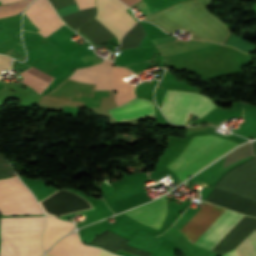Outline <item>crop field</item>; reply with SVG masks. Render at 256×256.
<instances>
[{
    "label": "crop field",
    "mask_w": 256,
    "mask_h": 256,
    "mask_svg": "<svg viewBox=\"0 0 256 256\" xmlns=\"http://www.w3.org/2000/svg\"><path fill=\"white\" fill-rule=\"evenodd\" d=\"M68 37L69 36L59 28L46 38H48L50 41H52L55 44H59Z\"/></svg>",
    "instance_id": "crop-field-14"
},
{
    "label": "crop field",
    "mask_w": 256,
    "mask_h": 256,
    "mask_svg": "<svg viewBox=\"0 0 256 256\" xmlns=\"http://www.w3.org/2000/svg\"><path fill=\"white\" fill-rule=\"evenodd\" d=\"M236 250L239 256H256V231L254 230Z\"/></svg>",
    "instance_id": "crop-field-13"
},
{
    "label": "crop field",
    "mask_w": 256,
    "mask_h": 256,
    "mask_svg": "<svg viewBox=\"0 0 256 256\" xmlns=\"http://www.w3.org/2000/svg\"><path fill=\"white\" fill-rule=\"evenodd\" d=\"M16 1H20V0H0V2H1L2 4L12 3V2H16Z\"/></svg>",
    "instance_id": "crop-field-20"
},
{
    "label": "crop field",
    "mask_w": 256,
    "mask_h": 256,
    "mask_svg": "<svg viewBox=\"0 0 256 256\" xmlns=\"http://www.w3.org/2000/svg\"><path fill=\"white\" fill-rule=\"evenodd\" d=\"M222 210L221 207L205 203L181 231L193 243ZM242 216L224 209L194 244L211 251Z\"/></svg>",
    "instance_id": "crop-field-2"
},
{
    "label": "crop field",
    "mask_w": 256,
    "mask_h": 256,
    "mask_svg": "<svg viewBox=\"0 0 256 256\" xmlns=\"http://www.w3.org/2000/svg\"><path fill=\"white\" fill-rule=\"evenodd\" d=\"M45 256H48V255H45ZM98 256H114V255H111V254L101 250Z\"/></svg>",
    "instance_id": "crop-field-19"
},
{
    "label": "crop field",
    "mask_w": 256,
    "mask_h": 256,
    "mask_svg": "<svg viewBox=\"0 0 256 256\" xmlns=\"http://www.w3.org/2000/svg\"><path fill=\"white\" fill-rule=\"evenodd\" d=\"M76 3L80 10L95 6L94 0H76Z\"/></svg>",
    "instance_id": "crop-field-16"
},
{
    "label": "crop field",
    "mask_w": 256,
    "mask_h": 256,
    "mask_svg": "<svg viewBox=\"0 0 256 256\" xmlns=\"http://www.w3.org/2000/svg\"><path fill=\"white\" fill-rule=\"evenodd\" d=\"M236 145L213 135L196 136L167 168L174 171L182 182Z\"/></svg>",
    "instance_id": "crop-field-3"
},
{
    "label": "crop field",
    "mask_w": 256,
    "mask_h": 256,
    "mask_svg": "<svg viewBox=\"0 0 256 256\" xmlns=\"http://www.w3.org/2000/svg\"><path fill=\"white\" fill-rule=\"evenodd\" d=\"M6 181L20 197L29 214L42 213L35 197L17 176L7 178ZM6 181L0 179V212L2 215L28 214L21 200L11 190Z\"/></svg>",
    "instance_id": "crop-field-5"
},
{
    "label": "crop field",
    "mask_w": 256,
    "mask_h": 256,
    "mask_svg": "<svg viewBox=\"0 0 256 256\" xmlns=\"http://www.w3.org/2000/svg\"><path fill=\"white\" fill-rule=\"evenodd\" d=\"M222 256H238V255H237L236 250L234 249V250H232V251H230V252H228V253H226Z\"/></svg>",
    "instance_id": "crop-field-18"
},
{
    "label": "crop field",
    "mask_w": 256,
    "mask_h": 256,
    "mask_svg": "<svg viewBox=\"0 0 256 256\" xmlns=\"http://www.w3.org/2000/svg\"><path fill=\"white\" fill-rule=\"evenodd\" d=\"M21 74L24 77V80L21 82L32 87L39 94H41L53 80V77L41 72L34 67L26 70Z\"/></svg>",
    "instance_id": "crop-field-12"
},
{
    "label": "crop field",
    "mask_w": 256,
    "mask_h": 256,
    "mask_svg": "<svg viewBox=\"0 0 256 256\" xmlns=\"http://www.w3.org/2000/svg\"><path fill=\"white\" fill-rule=\"evenodd\" d=\"M99 251V249L81 244L77 233L73 232L54 245L47 254L54 256H97Z\"/></svg>",
    "instance_id": "crop-field-9"
},
{
    "label": "crop field",
    "mask_w": 256,
    "mask_h": 256,
    "mask_svg": "<svg viewBox=\"0 0 256 256\" xmlns=\"http://www.w3.org/2000/svg\"><path fill=\"white\" fill-rule=\"evenodd\" d=\"M120 1H122L125 5H127L129 7L139 0H120Z\"/></svg>",
    "instance_id": "crop-field-17"
},
{
    "label": "crop field",
    "mask_w": 256,
    "mask_h": 256,
    "mask_svg": "<svg viewBox=\"0 0 256 256\" xmlns=\"http://www.w3.org/2000/svg\"><path fill=\"white\" fill-rule=\"evenodd\" d=\"M197 96L198 93L194 92L167 90L161 110L169 121L179 125H185L187 116ZM216 107L218 106L208 97L199 94L191 113L202 117Z\"/></svg>",
    "instance_id": "crop-field-4"
},
{
    "label": "crop field",
    "mask_w": 256,
    "mask_h": 256,
    "mask_svg": "<svg viewBox=\"0 0 256 256\" xmlns=\"http://www.w3.org/2000/svg\"><path fill=\"white\" fill-rule=\"evenodd\" d=\"M109 113L117 121H122L153 115L154 110L152 102L142 98H135L113 110H109Z\"/></svg>",
    "instance_id": "crop-field-10"
},
{
    "label": "crop field",
    "mask_w": 256,
    "mask_h": 256,
    "mask_svg": "<svg viewBox=\"0 0 256 256\" xmlns=\"http://www.w3.org/2000/svg\"><path fill=\"white\" fill-rule=\"evenodd\" d=\"M44 216L1 218L0 256H40Z\"/></svg>",
    "instance_id": "crop-field-1"
},
{
    "label": "crop field",
    "mask_w": 256,
    "mask_h": 256,
    "mask_svg": "<svg viewBox=\"0 0 256 256\" xmlns=\"http://www.w3.org/2000/svg\"><path fill=\"white\" fill-rule=\"evenodd\" d=\"M97 16L109 31L120 39L136 21L125 11L127 7L118 0H96Z\"/></svg>",
    "instance_id": "crop-field-6"
},
{
    "label": "crop field",
    "mask_w": 256,
    "mask_h": 256,
    "mask_svg": "<svg viewBox=\"0 0 256 256\" xmlns=\"http://www.w3.org/2000/svg\"><path fill=\"white\" fill-rule=\"evenodd\" d=\"M24 13L40 29L37 32L45 37L64 25L47 0H35Z\"/></svg>",
    "instance_id": "crop-field-7"
},
{
    "label": "crop field",
    "mask_w": 256,
    "mask_h": 256,
    "mask_svg": "<svg viewBox=\"0 0 256 256\" xmlns=\"http://www.w3.org/2000/svg\"><path fill=\"white\" fill-rule=\"evenodd\" d=\"M166 209V198L163 196L154 202L133 209L125 214L148 226L159 229L163 223Z\"/></svg>",
    "instance_id": "crop-field-8"
},
{
    "label": "crop field",
    "mask_w": 256,
    "mask_h": 256,
    "mask_svg": "<svg viewBox=\"0 0 256 256\" xmlns=\"http://www.w3.org/2000/svg\"><path fill=\"white\" fill-rule=\"evenodd\" d=\"M73 223L60 221L54 217L46 215V230L42 238L44 251L61 235L73 229Z\"/></svg>",
    "instance_id": "crop-field-11"
},
{
    "label": "crop field",
    "mask_w": 256,
    "mask_h": 256,
    "mask_svg": "<svg viewBox=\"0 0 256 256\" xmlns=\"http://www.w3.org/2000/svg\"><path fill=\"white\" fill-rule=\"evenodd\" d=\"M11 61V58L0 55V72L9 69Z\"/></svg>",
    "instance_id": "crop-field-15"
}]
</instances>
